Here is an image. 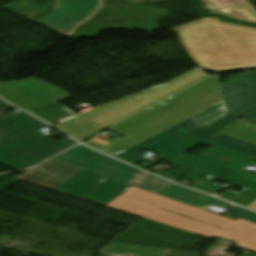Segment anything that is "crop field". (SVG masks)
<instances>
[{
    "mask_svg": "<svg viewBox=\"0 0 256 256\" xmlns=\"http://www.w3.org/2000/svg\"><path fill=\"white\" fill-rule=\"evenodd\" d=\"M230 211H233L234 213L232 214L235 217H240L243 218L249 222L255 223L256 224V214L250 211H247L243 208L240 207H232L230 209H228Z\"/></svg>",
    "mask_w": 256,
    "mask_h": 256,
    "instance_id": "crop-field-21",
    "label": "crop field"
},
{
    "mask_svg": "<svg viewBox=\"0 0 256 256\" xmlns=\"http://www.w3.org/2000/svg\"><path fill=\"white\" fill-rule=\"evenodd\" d=\"M164 163L191 170L183 178V180L194 183L192 185V188L201 190L212 195L221 191L223 188L219 187L214 182H212L210 178H208L209 176H211L244 188L238 193L226 190L218 197L230 200L244 206L250 204L256 199V184L206 168L209 164L212 163L211 161L191 157L180 153L168 159Z\"/></svg>",
    "mask_w": 256,
    "mask_h": 256,
    "instance_id": "crop-field-9",
    "label": "crop field"
},
{
    "mask_svg": "<svg viewBox=\"0 0 256 256\" xmlns=\"http://www.w3.org/2000/svg\"><path fill=\"white\" fill-rule=\"evenodd\" d=\"M174 30L192 60L205 70L256 67V28L208 18Z\"/></svg>",
    "mask_w": 256,
    "mask_h": 256,
    "instance_id": "crop-field-2",
    "label": "crop field"
},
{
    "mask_svg": "<svg viewBox=\"0 0 256 256\" xmlns=\"http://www.w3.org/2000/svg\"><path fill=\"white\" fill-rule=\"evenodd\" d=\"M104 157L106 156L79 145L54 159L86 169Z\"/></svg>",
    "mask_w": 256,
    "mask_h": 256,
    "instance_id": "crop-field-15",
    "label": "crop field"
},
{
    "mask_svg": "<svg viewBox=\"0 0 256 256\" xmlns=\"http://www.w3.org/2000/svg\"><path fill=\"white\" fill-rule=\"evenodd\" d=\"M222 100L216 74L110 128L126 137L106 147L85 144L114 156Z\"/></svg>",
    "mask_w": 256,
    "mask_h": 256,
    "instance_id": "crop-field-3",
    "label": "crop field"
},
{
    "mask_svg": "<svg viewBox=\"0 0 256 256\" xmlns=\"http://www.w3.org/2000/svg\"><path fill=\"white\" fill-rule=\"evenodd\" d=\"M87 170L122 183L132 186L135 185L176 200L192 204L194 206L207 207L209 205H214L226 208L231 205L189 189L168 183L108 157L99 161Z\"/></svg>",
    "mask_w": 256,
    "mask_h": 256,
    "instance_id": "crop-field-8",
    "label": "crop field"
},
{
    "mask_svg": "<svg viewBox=\"0 0 256 256\" xmlns=\"http://www.w3.org/2000/svg\"><path fill=\"white\" fill-rule=\"evenodd\" d=\"M220 133L235 137L237 139L256 144V126L245 121L237 120Z\"/></svg>",
    "mask_w": 256,
    "mask_h": 256,
    "instance_id": "crop-field-18",
    "label": "crop field"
},
{
    "mask_svg": "<svg viewBox=\"0 0 256 256\" xmlns=\"http://www.w3.org/2000/svg\"><path fill=\"white\" fill-rule=\"evenodd\" d=\"M9 107H11V105H9V104H7V103H5V102L0 100V112L5 110V109H7V108H9ZM28 116H30V115L22 113V114H20L18 116L10 118V117L0 113V129L5 128V127H7V126H9V125H11V124H13L15 122H18V121H20V120H22V119H24V118H26Z\"/></svg>",
    "mask_w": 256,
    "mask_h": 256,
    "instance_id": "crop-field-19",
    "label": "crop field"
},
{
    "mask_svg": "<svg viewBox=\"0 0 256 256\" xmlns=\"http://www.w3.org/2000/svg\"><path fill=\"white\" fill-rule=\"evenodd\" d=\"M170 249L111 241L98 252L114 256H165ZM106 256V255H102Z\"/></svg>",
    "mask_w": 256,
    "mask_h": 256,
    "instance_id": "crop-field-14",
    "label": "crop field"
},
{
    "mask_svg": "<svg viewBox=\"0 0 256 256\" xmlns=\"http://www.w3.org/2000/svg\"><path fill=\"white\" fill-rule=\"evenodd\" d=\"M47 127L30 116L0 131V162L15 169L33 166L75 144L67 137L57 142L38 133Z\"/></svg>",
    "mask_w": 256,
    "mask_h": 256,
    "instance_id": "crop-field-6",
    "label": "crop field"
},
{
    "mask_svg": "<svg viewBox=\"0 0 256 256\" xmlns=\"http://www.w3.org/2000/svg\"><path fill=\"white\" fill-rule=\"evenodd\" d=\"M53 191L114 208L164 225L236 242L256 252V225L228 218L125 185L81 169Z\"/></svg>",
    "mask_w": 256,
    "mask_h": 256,
    "instance_id": "crop-field-1",
    "label": "crop field"
},
{
    "mask_svg": "<svg viewBox=\"0 0 256 256\" xmlns=\"http://www.w3.org/2000/svg\"><path fill=\"white\" fill-rule=\"evenodd\" d=\"M78 170L80 168L52 159L15 179L52 190Z\"/></svg>",
    "mask_w": 256,
    "mask_h": 256,
    "instance_id": "crop-field-11",
    "label": "crop field"
},
{
    "mask_svg": "<svg viewBox=\"0 0 256 256\" xmlns=\"http://www.w3.org/2000/svg\"><path fill=\"white\" fill-rule=\"evenodd\" d=\"M195 157L214 161L208 168L256 183V175L240 171L241 166L256 163V158L253 159L214 146L195 155Z\"/></svg>",
    "mask_w": 256,
    "mask_h": 256,
    "instance_id": "crop-field-12",
    "label": "crop field"
},
{
    "mask_svg": "<svg viewBox=\"0 0 256 256\" xmlns=\"http://www.w3.org/2000/svg\"><path fill=\"white\" fill-rule=\"evenodd\" d=\"M95 0H55L54 12L36 22L46 26L78 8H85Z\"/></svg>",
    "mask_w": 256,
    "mask_h": 256,
    "instance_id": "crop-field-16",
    "label": "crop field"
},
{
    "mask_svg": "<svg viewBox=\"0 0 256 256\" xmlns=\"http://www.w3.org/2000/svg\"><path fill=\"white\" fill-rule=\"evenodd\" d=\"M198 255L199 254H194V253H190V252L173 250L172 252H170L166 256H198Z\"/></svg>",
    "mask_w": 256,
    "mask_h": 256,
    "instance_id": "crop-field-22",
    "label": "crop field"
},
{
    "mask_svg": "<svg viewBox=\"0 0 256 256\" xmlns=\"http://www.w3.org/2000/svg\"><path fill=\"white\" fill-rule=\"evenodd\" d=\"M238 118L228 111L206 125L189 118L114 157L135 165L142 160L137 158L141 148L168 159L192 145L206 142L255 158L256 145L218 133Z\"/></svg>",
    "mask_w": 256,
    "mask_h": 256,
    "instance_id": "crop-field-4",
    "label": "crop field"
},
{
    "mask_svg": "<svg viewBox=\"0 0 256 256\" xmlns=\"http://www.w3.org/2000/svg\"><path fill=\"white\" fill-rule=\"evenodd\" d=\"M208 77L198 68L165 85L58 122L55 127L82 142Z\"/></svg>",
    "mask_w": 256,
    "mask_h": 256,
    "instance_id": "crop-field-5",
    "label": "crop field"
},
{
    "mask_svg": "<svg viewBox=\"0 0 256 256\" xmlns=\"http://www.w3.org/2000/svg\"><path fill=\"white\" fill-rule=\"evenodd\" d=\"M214 13L256 22V10L246 0H202Z\"/></svg>",
    "mask_w": 256,
    "mask_h": 256,
    "instance_id": "crop-field-13",
    "label": "crop field"
},
{
    "mask_svg": "<svg viewBox=\"0 0 256 256\" xmlns=\"http://www.w3.org/2000/svg\"><path fill=\"white\" fill-rule=\"evenodd\" d=\"M0 96L48 123L74 115L55 101L70 97L59 87L34 78L0 82Z\"/></svg>",
    "mask_w": 256,
    "mask_h": 256,
    "instance_id": "crop-field-7",
    "label": "crop field"
},
{
    "mask_svg": "<svg viewBox=\"0 0 256 256\" xmlns=\"http://www.w3.org/2000/svg\"><path fill=\"white\" fill-rule=\"evenodd\" d=\"M227 110L256 125V71L221 84Z\"/></svg>",
    "mask_w": 256,
    "mask_h": 256,
    "instance_id": "crop-field-10",
    "label": "crop field"
},
{
    "mask_svg": "<svg viewBox=\"0 0 256 256\" xmlns=\"http://www.w3.org/2000/svg\"><path fill=\"white\" fill-rule=\"evenodd\" d=\"M220 104H224V105L221 106V107H219V108H217V109H215V110H213V111H211V112H209V113H207L206 115L202 116L201 118L197 119L198 121L204 123L205 121H207L208 119L212 118L213 116H215L216 114L220 113L221 111H223V110H224V111H227V110H226V107H225V102H224V101H222V102H220V103H218V104H216V105H214V106H212V107H210V108H208V109H206V110H204V111H202V112H200V113H198V114L192 116L191 118L194 119L195 117H197V116H199V115H201V114H203V113H205V112H207V111H209V110H211V109H213V108L219 106ZM218 116H219V115H218ZM215 118H216V117H215ZM213 119H214V118H213ZM213 119H212V120H213ZM195 120H196V119H195ZM210 121H211V120H210ZM208 122H209V121H208ZM208 122H206V123H208ZM206 123H204V124H206Z\"/></svg>",
    "mask_w": 256,
    "mask_h": 256,
    "instance_id": "crop-field-20",
    "label": "crop field"
},
{
    "mask_svg": "<svg viewBox=\"0 0 256 256\" xmlns=\"http://www.w3.org/2000/svg\"><path fill=\"white\" fill-rule=\"evenodd\" d=\"M247 207L255 209L256 210V201H254L253 203H251L250 205H248Z\"/></svg>",
    "mask_w": 256,
    "mask_h": 256,
    "instance_id": "crop-field-23",
    "label": "crop field"
},
{
    "mask_svg": "<svg viewBox=\"0 0 256 256\" xmlns=\"http://www.w3.org/2000/svg\"><path fill=\"white\" fill-rule=\"evenodd\" d=\"M99 6V0L95 1L89 7L84 10L78 9L57 22L46 26L54 31H57L63 35L68 33L75 25L89 17L92 12Z\"/></svg>",
    "mask_w": 256,
    "mask_h": 256,
    "instance_id": "crop-field-17",
    "label": "crop field"
}]
</instances>
